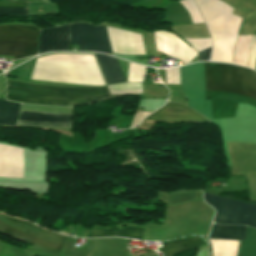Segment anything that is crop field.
Returning a JSON list of instances; mask_svg holds the SVG:
<instances>
[{
  "instance_id": "obj_21",
  "label": "crop field",
  "mask_w": 256,
  "mask_h": 256,
  "mask_svg": "<svg viewBox=\"0 0 256 256\" xmlns=\"http://www.w3.org/2000/svg\"><path fill=\"white\" fill-rule=\"evenodd\" d=\"M188 43H190L199 53L200 51L211 46V38L207 39H186Z\"/></svg>"
},
{
  "instance_id": "obj_13",
  "label": "crop field",
  "mask_w": 256,
  "mask_h": 256,
  "mask_svg": "<svg viewBox=\"0 0 256 256\" xmlns=\"http://www.w3.org/2000/svg\"><path fill=\"white\" fill-rule=\"evenodd\" d=\"M71 115L20 111L17 124L70 128Z\"/></svg>"
},
{
  "instance_id": "obj_7",
  "label": "crop field",
  "mask_w": 256,
  "mask_h": 256,
  "mask_svg": "<svg viewBox=\"0 0 256 256\" xmlns=\"http://www.w3.org/2000/svg\"><path fill=\"white\" fill-rule=\"evenodd\" d=\"M32 225L25 221L0 215V232L30 244L60 250L65 237L43 231Z\"/></svg>"
},
{
  "instance_id": "obj_5",
  "label": "crop field",
  "mask_w": 256,
  "mask_h": 256,
  "mask_svg": "<svg viewBox=\"0 0 256 256\" xmlns=\"http://www.w3.org/2000/svg\"><path fill=\"white\" fill-rule=\"evenodd\" d=\"M38 29L33 26H0V54L14 55V59L35 55Z\"/></svg>"
},
{
  "instance_id": "obj_1",
  "label": "crop field",
  "mask_w": 256,
  "mask_h": 256,
  "mask_svg": "<svg viewBox=\"0 0 256 256\" xmlns=\"http://www.w3.org/2000/svg\"><path fill=\"white\" fill-rule=\"evenodd\" d=\"M31 79L105 85L93 56L50 55L37 58Z\"/></svg>"
},
{
  "instance_id": "obj_6",
  "label": "crop field",
  "mask_w": 256,
  "mask_h": 256,
  "mask_svg": "<svg viewBox=\"0 0 256 256\" xmlns=\"http://www.w3.org/2000/svg\"><path fill=\"white\" fill-rule=\"evenodd\" d=\"M204 201L216 210L214 223L256 228V204H247L204 192Z\"/></svg>"
},
{
  "instance_id": "obj_16",
  "label": "crop field",
  "mask_w": 256,
  "mask_h": 256,
  "mask_svg": "<svg viewBox=\"0 0 256 256\" xmlns=\"http://www.w3.org/2000/svg\"><path fill=\"white\" fill-rule=\"evenodd\" d=\"M20 104L0 100V124L14 125Z\"/></svg>"
},
{
  "instance_id": "obj_12",
  "label": "crop field",
  "mask_w": 256,
  "mask_h": 256,
  "mask_svg": "<svg viewBox=\"0 0 256 256\" xmlns=\"http://www.w3.org/2000/svg\"><path fill=\"white\" fill-rule=\"evenodd\" d=\"M145 119L163 121L208 122L202 115L178 103L167 102L159 111Z\"/></svg>"
},
{
  "instance_id": "obj_3",
  "label": "crop field",
  "mask_w": 256,
  "mask_h": 256,
  "mask_svg": "<svg viewBox=\"0 0 256 256\" xmlns=\"http://www.w3.org/2000/svg\"><path fill=\"white\" fill-rule=\"evenodd\" d=\"M205 89L227 91L256 99V73L243 67L204 62Z\"/></svg>"
},
{
  "instance_id": "obj_25",
  "label": "crop field",
  "mask_w": 256,
  "mask_h": 256,
  "mask_svg": "<svg viewBox=\"0 0 256 256\" xmlns=\"http://www.w3.org/2000/svg\"><path fill=\"white\" fill-rule=\"evenodd\" d=\"M210 50H211V48L200 52L201 60H209Z\"/></svg>"
},
{
  "instance_id": "obj_17",
  "label": "crop field",
  "mask_w": 256,
  "mask_h": 256,
  "mask_svg": "<svg viewBox=\"0 0 256 256\" xmlns=\"http://www.w3.org/2000/svg\"><path fill=\"white\" fill-rule=\"evenodd\" d=\"M103 236H119L132 239H141L143 236V230L128 227L122 231H108V230H98L92 231L88 237H103Z\"/></svg>"
},
{
  "instance_id": "obj_24",
  "label": "crop field",
  "mask_w": 256,
  "mask_h": 256,
  "mask_svg": "<svg viewBox=\"0 0 256 256\" xmlns=\"http://www.w3.org/2000/svg\"><path fill=\"white\" fill-rule=\"evenodd\" d=\"M149 113H136L135 114V117H134V120H133V123L132 125L130 126L131 127H135L137 126V124Z\"/></svg>"
},
{
  "instance_id": "obj_10",
  "label": "crop field",
  "mask_w": 256,
  "mask_h": 256,
  "mask_svg": "<svg viewBox=\"0 0 256 256\" xmlns=\"http://www.w3.org/2000/svg\"><path fill=\"white\" fill-rule=\"evenodd\" d=\"M106 28L113 52L129 55L145 54L141 36L139 34L119 29Z\"/></svg>"
},
{
  "instance_id": "obj_2",
  "label": "crop field",
  "mask_w": 256,
  "mask_h": 256,
  "mask_svg": "<svg viewBox=\"0 0 256 256\" xmlns=\"http://www.w3.org/2000/svg\"><path fill=\"white\" fill-rule=\"evenodd\" d=\"M6 98L61 105H81L112 99L107 87L65 88L6 81Z\"/></svg>"
},
{
  "instance_id": "obj_22",
  "label": "crop field",
  "mask_w": 256,
  "mask_h": 256,
  "mask_svg": "<svg viewBox=\"0 0 256 256\" xmlns=\"http://www.w3.org/2000/svg\"><path fill=\"white\" fill-rule=\"evenodd\" d=\"M255 60H256V35H254L252 38L250 51H249V57H248V67L254 69Z\"/></svg>"
},
{
  "instance_id": "obj_8",
  "label": "crop field",
  "mask_w": 256,
  "mask_h": 256,
  "mask_svg": "<svg viewBox=\"0 0 256 256\" xmlns=\"http://www.w3.org/2000/svg\"><path fill=\"white\" fill-rule=\"evenodd\" d=\"M71 44H79V51L111 54L104 27H93L86 23L71 24Z\"/></svg>"
},
{
  "instance_id": "obj_14",
  "label": "crop field",
  "mask_w": 256,
  "mask_h": 256,
  "mask_svg": "<svg viewBox=\"0 0 256 256\" xmlns=\"http://www.w3.org/2000/svg\"><path fill=\"white\" fill-rule=\"evenodd\" d=\"M104 76L106 84L125 82L115 58L106 55L94 54Z\"/></svg>"
},
{
  "instance_id": "obj_4",
  "label": "crop field",
  "mask_w": 256,
  "mask_h": 256,
  "mask_svg": "<svg viewBox=\"0 0 256 256\" xmlns=\"http://www.w3.org/2000/svg\"><path fill=\"white\" fill-rule=\"evenodd\" d=\"M182 92L188 100L189 107L212 119L210 100H205L203 62L180 67ZM179 68L165 70L166 82L181 84Z\"/></svg>"
},
{
  "instance_id": "obj_11",
  "label": "crop field",
  "mask_w": 256,
  "mask_h": 256,
  "mask_svg": "<svg viewBox=\"0 0 256 256\" xmlns=\"http://www.w3.org/2000/svg\"><path fill=\"white\" fill-rule=\"evenodd\" d=\"M155 36L157 50L167 52L176 59L187 63L197 55L196 50L189 48L183 41L164 31H155Z\"/></svg>"
},
{
  "instance_id": "obj_19",
  "label": "crop field",
  "mask_w": 256,
  "mask_h": 256,
  "mask_svg": "<svg viewBox=\"0 0 256 256\" xmlns=\"http://www.w3.org/2000/svg\"><path fill=\"white\" fill-rule=\"evenodd\" d=\"M3 7H25V2L0 0ZM0 7V15H26L25 8H3Z\"/></svg>"
},
{
  "instance_id": "obj_9",
  "label": "crop field",
  "mask_w": 256,
  "mask_h": 256,
  "mask_svg": "<svg viewBox=\"0 0 256 256\" xmlns=\"http://www.w3.org/2000/svg\"><path fill=\"white\" fill-rule=\"evenodd\" d=\"M70 24L40 30L39 53L47 51H69Z\"/></svg>"
},
{
  "instance_id": "obj_20",
  "label": "crop field",
  "mask_w": 256,
  "mask_h": 256,
  "mask_svg": "<svg viewBox=\"0 0 256 256\" xmlns=\"http://www.w3.org/2000/svg\"><path fill=\"white\" fill-rule=\"evenodd\" d=\"M180 3L188 11L193 23H204L193 0H183Z\"/></svg>"
},
{
  "instance_id": "obj_23",
  "label": "crop field",
  "mask_w": 256,
  "mask_h": 256,
  "mask_svg": "<svg viewBox=\"0 0 256 256\" xmlns=\"http://www.w3.org/2000/svg\"><path fill=\"white\" fill-rule=\"evenodd\" d=\"M109 87V86H108ZM110 89V87H109ZM142 90H120V91H111V94L113 95H120V94H142L141 93Z\"/></svg>"
},
{
  "instance_id": "obj_15",
  "label": "crop field",
  "mask_w": 256,
  "mask_h": 256,
  "mask_svg": "<svg viewBox=\"0 0 256 256\" xmlns=\"http://www.w3.org/2000/svg\"><path fill=\"white\" fill-rule=\"evenodd\" d=\"M246 227L213 224L209 238L244 241Z\"/></svg>"
},
{
  "instance_id": "obj_18",
  "label": "crop field",
  "mask_w": 256,
  "mask_h": 256,
  "mask_svg": "<svg viewBox=\"0 0 256 256\" xmlns=\"http://www.w3.org/2000/svg\"><path fill=\"white\" fill-rule=\"evenodd\" d=\"M205 244L202 240L198 238H190L178 242H172V243H166L164 244L162 250L164 252V255H170L174 254L178 251L185 250L189 247H196L199 245Z\"/></svg>"
}]
</instances>
